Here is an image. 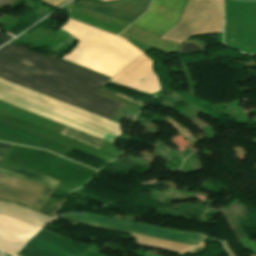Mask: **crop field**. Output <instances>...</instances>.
Listing matches in <instances>:
<instances>
[{
	"instance_id": "obj_5",
	"label": "crop field",
	"mask_w": 256,
	"mask_h": 256,
	"mask_svg": "<svg viewBox=\"0 0 256 256\" xmlns=\"http://www.w3.org/2000/svg\"><path fill=\"white\" fill-rule=\"evenodd\" d=\"M53 189L25 179L0 175V199L11 200L54 217L62 201L49 198Z\"/></svg>"
},
{
	"instance_id": "obj_11",
	"label": "crop field",
	"mask_w": 256,
	"mask_h": 256,
	"mask_svg": "<svg viewBox=\"0 0 256 256\" xmlns=\"http://www.w3.org/2000/svg\"><path fill=\"white\" fill-rule=\"evenodd\" d=\"M0 173L30 178L32 180L38 181L45 185L51 186L53 188H55V186L58 184V181H55L53 179L47 178L37 173L25 171V170H19V169L0 166Z\"/></svg>"
},
{
	"instance_id": "obj_10",
	"label": "crop field",
	"mask_w": 256,
	"mask_h": 256,
	"mask_svg": "<svg viewBox=\"0 0 256 256\" xmlns=\"http://www.w3.org/2000/svg\"><path fill=\"white\" fill-rule=\"evenodd\" d=\"M75 5L79 8L87 9L90 11L105 14L108 16H112L115 18L130 21V22H132L139 15H141V13H137V12H133V11H129V10L101 4V3H96L92 1L78 0L75 2Z\"/></svg>"
},
{
	"instance_id": "obj_12",
	"label": "crop field",
	"mask_w": 256,
	"mask_h": 256,
	"mask_svg": "<svg viewBox=\"0 0 256 256\" xmlns=\"http://www.w3.org/2000/svg\"><path fill=\"white\" fill-rule=\"evenodd\" d=\"M9 147H10L9 144L0 143V156L1 157H4L5 153L9 149ZM1 160H2V158H0V162H1Z\"/></svg>"
},
{
	"instance_id": "obj_13",
	"label": "crop field",
	"mask_w": 256,
	"mask_h": 256,
	"mask_svg": "<svg viewBox=\"0 0 256 256\" xmlns=\"http://www.w3.org/2000/svg\"><path fill=\"white\" fill-rule=\"evenodd\" d=\"M12 38L11 36L0 31V45Z\"/></svg>"
},
{
	"instance_id": "obj_4",
	"label": "crop field",
	"mask_w": 256,
	"mask_h": 256,
	"mask_svg": "<svg viewBox=\"0 0 256 256\" xmlns=\"http://www.w3.org/2000/svg\"><path fill=\"white\" fill-rule=\"evenodd\" d=\"M59 217L108 230L140 234L193 245H196L203 237V234L174 231L87 213L63 214Z\"/></svg>"
},
{
	"instance_id": "obj_3",
	"label": "crop field",
	"mask_w": 256,
	"mask_h": 256,
	"mask_svg": "<svg viewBox=\"0 0 256 256\" xmlns=\"http://www.w3.org/2000/svg\"><path fill=\"white\" fill-rule=\"evenodd\" d=\"M0 92L45 108L73 120L79 121L107 133L113 134L115 136L123 132V130L118 128L119 124L117 123L111 122L36 92L22 88L2 79H0Z\"/></svg>"
},
{
	"instance_id": "obj_7",
	"label": "crop field",
	"mask_w": 256,
	"mask_h": 256,
	"mask_svg": "<svg viewBox=\"0 0 256 256\" xmlns=\"http://www.w3.org/2000/svg\"><path fill=\"white\" fill-rule=\"evenodd\" d=\"M70 241V240H69ZM41 230L17 254L19 256H103L93 250Z\"/></svg>"
},
{
	"instance_id": "obj_6",
	"label": "crop field",
	"mask_w": 256,
	"mask_h": 256,
	"mask_svg": "<svg viewBox=\"0 0 256 256\" xmlns=\"http://www.w3.org/2000/svg\"><path fill=\"white\" fill-rule=\"evenodd\" d=\"M188 0H153L150 9L132 26L160 38L180 19Z\"/></svg>"
},
{
	"instance_id": "obj_8",
	"label": "crop field",
	"mask_w": 256,
	"mask_h": 256,
	"mask_svg": "<svg viewBox=\"0 0 256 256\" xmlns=\"http://www.w3.org/2000/svg\"><path fill=\"white\" fill-rule=\"evenodd\" d=\"M152 64L153 60L144 54L120 70L110 81L146 93L157 92L161 86L152 70Z\"/></svg>"
},
{
	"instance_id": "obj_14",
	"label": "crop field",
	"mask_w": 256,
	"mask_h": 256,
	"mask_svg": "<svg viewBox=\"0 0 256 256\" xmlns=\"http://www.w3.org/2000/svg\"><path fill=\"white\" fill-rule=\"evenodd\" d=\"M15 256H17V255H15Z\"/></svg>"
},
{
	"instance_id": "obj_2",
	"label": "crop field",
	"mask_w": 256,
	"mask_h": 256,
	"mask_svg": "<svg viewBox=\"0 0 256 256\" xmlns=\"http://www.w3.org/2000/svg\"><path fill=\"white\" fill-rule=\"evenodd\" d=\"M223 0H189L179 23L162 39L182 43L195 34L222 31Z\"/></svg>"
},
{
	"instance_id": "obj_1",
	"label": "crop field",
	"mask_w": 256,
	"mask_h": 256,
	"mask_svg": "<svg viewBox=\"0 0 256 256\" xmlns=\"http://www.w3.org/2000/svg\"><path fill=\"white\" fill-rule=\"evenodd\" d=\"M0 76L107 118L122 106L95 94L108 78L21 46L0 49Z\"/></svg>"
},
{
	"instance_id": "obj_9",
	"label": "crop field",
	"mask_w": 256,
	"mask_h": 256,
	"mask_svg": "<svg viewBox=\"0 0 256 256\" xmlns=\"http://www.w3.org/2000/svg\"><path fill=\"white\" fill-rule=\"evenodd\" d=\"M0 213L14 217L39 228H42L46 223L52 220L50 217L6 201H0Z\"/></svg>"
}]
</instances>
